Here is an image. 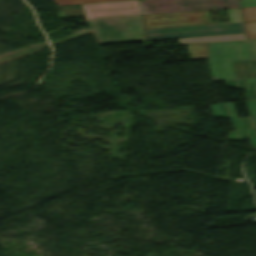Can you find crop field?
<instances>
[{
    "instance_id": "1",
    "label": "crop field",
    "mask_w": 256,
    "mask_h": 256,
    "mask_svg": "<svg viewBox=\"0 0 256 256\" xmlns=\"http://www.w3.org/2000/svg\"><path fill=\"white\" fill-rule=\"evenodd\" d=\"M227 11L230 22L217 24H212L209 10L142 17L148 40L178 38L179 43H189L245 39L239 8Z\"/></svg>"
},
{
    "instance_id": "2",
    "label": "crop field",
    "mask_w": 256,
    "mask_h": 256,
    "mask_svg": "<svg viewBox=\"0 0 256 256\" xmlns=\"http://www.w3.org/2000/svg\"><path fill=\"white\" fill-rule=\"evenodd\" d=\"M241 60H256V40L209 44L211 76L221 80L237 79L231 61Z\"/></svg>"
},
{
    "instance_id": "3",
    "label": "crop field",
    "mask_w": 256,
    "mask_h": 256,
    "mask_svg": "<svg viewBox=\"0 0 256 256\" xmlns=\"http://www.w3.org/2000/svg\"><path fill=\"white\" fill-rule=\"evenodd\" d=\"M99 43L145 40L139 15L87 21Z\"/></svg>"
},
{
    "instance_id": "4",
    "label": "crop field",
    "mask_w": 256,
    "mask_h": 256,
    "mask_svg": "<svg viewBox=\"0 0 256 256\" xmlns=\"http://www.w3.org/2000/svg\"><path fill=\"white\" fill-rule=\"evenodd\" d=\"M142 14L239 7L238 0H139ZM186 5L187 7H181ZM220 5H222L220 7Z\"/></svg>"
},
{
    "instance_id": "5",
    "label": "crop field",
    "mask_w": 256,
    "mask_h": 256,
    "mask_svg": "<svg viewBox=\"0 0 256 256\" xmlns=\"http://www.w3.org/2000/svg\"><path fill=\"white\" fill-rule=\"evenodd\" d=\"M86 18L140 14L137 0L83 5Z\"/></svg>"
},
{
    "instance_id": "6",
    "label": "crop field",
    "mask_w": 256,
    "mask_h": 256,
    "mask_svg": "<svg viewBox=\"0 0 256 256\" xmlns=\"http://www.w3.org/2000/svg\"><path fill=\"white\" fill-rule=\"evenodd\" d=\"M237 78H256V61L232 62Z\"/></svg>"
},
{
    "instance_id": "7",
    "label": "crop field",
    "mask_w": 256,
    "mask_h": 256,
    "mask_svg": "<svg viewBox=\"0 0 256 256\" xmlns=\"http://www.w3.org/2000/svg\"><path fill=\"white\" fill-rule=\"evenodd\" d=\"M248 39L256 38V7L242 8Z\"/></svg>"
},
{
    "instance_id": "8",
    "label": "crop field",
    "mask_w": 256,
    "mask_h": 256,
    "mask_svg": "<svg viewBox=\"0 0 256 256\" xmlns=\"http://www.w3.org/2000/svg\"><path fill=\"white\" fill-rule=\"evenodd\" d=\"M191 60L208 57V44L187 45Z\"/></svg>"
},
{
    "instance_id": "9",
    "label": "crop field",
    "mask_w": 256,
    "mask_h": 256,
    "mask_svg": "<svg viewBox=\"0 0 256 256\" xmlns=\"http://www.w3.org/2000/svg\"><path fill=\"white\" fill-rule=\"evenodd\" d=\"M57 5L66 4H88V3H99V2H110V1H121V0H54Z\"/></svg>"
},
{
    "instance_id": "10",
    "label": "crop field",
    "mask_w": 256,
    "mask_h": 256,
    "mask_svg": "<svg viewBox=\"0 0 256 256\" xmlns=\"http://www.w3.org/2000/svg\"><path fill=\"white\" fill-rule=\"evenodd\" d=\"M242 7L256 6V0H241Z\"/></svg>"
}]
</instances>
